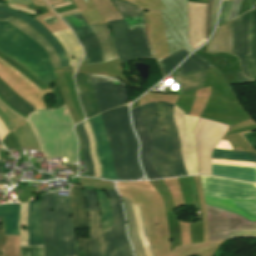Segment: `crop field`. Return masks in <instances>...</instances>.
<instances>
[{
	"label": "crop field",
	"instance_id": "8a807250",
	"mask_svg": "<svg viewBox=\"0 0 256 256\" xmlns=\"http://www.w3.org/2000/svg\"><path fill=\"white\" fill-rule=\"evenodd\" d=\"M68 200L69 196L57 195V191L42 196L40 220L44 256H77Z\"/></svg>",
	"mask_w": 256,
	"mask_h": 256
},
{
	"label": "crop field",
	"instance_id": "ac0d7876",
	"mask_svg": "<svg viewBox=\"0 0 256 256\" xmlns=\"http://www.w3.org/2000/svg\"><path fill=\"white\" fill-rule=\"evenodd\" d=\"M41 149L48 159L67 157V164L77 162L74 123L66 105L53 111H37L28 118Z\"/></svg>",
	"mask_w": 256,
	"mask_h": 256
},
{
	"label": "crop field",
	"instance_id": "34b2d1b8",
	"mask_svg": "<svg viewBox=\"0 0 256 256\" xmlns=\"http://www.w3.org/2000/svg\"><path fill=\"white\" fill-rule=\"evenodd\" d=\"M118 179H139L137 141L131 129L127 107L101 113Z\"/></svg>",
	"mask_w": 256,
	"mask_h": 256
},
{
	"label": "crop field",
	"instance_id": "412701ff",
	"mask_svg": "<svg viewBox=\"0 0 256 256\" xmlns=\"http://www.w3.org/2000/svg\"><path fill=\"white\" fill-rule=\"evenodd\" d=\"M0 51L18 62L48 87L57 79L46 50L7 21L0 23Z\"/></svg>",
	"mask_w": 256,
	"mask_h": 256
},
{
	"label": "crop field",
	"instance_id": "f4fd0767",
	"mask_svg": "<svg viewBox=\"0 0 256 256\" xmlns=\"http://www.w3.org/2000/svg\"><path fill=\"white\" fill-rule=\"evenodd\" d=\"M208 205L256 221V184L214 176H200Z\"/></svg>",
	"mask_w": 256,
	"mask_h": 256
},
{
	"label": "crop field",
	"instance_id": "dd49c442",
	"mask_svg": "<svg viewBox=\"0 0 256 256\" xmlns=\"http://www.w3.org/2000/svg\"><path fill=\"white\" fill-rule=\"evenodd\" d=\"M209 241L241 236H256V222L206 205Z\"/></svg>",
	"mask_w": 256,
	"mask_h": 256
},
{
	"label": "crop field",
	"instance_id": "e52e79f7",
	"mask_svg": "<svg viewBox=\"0 0 256 256\" xmlns=\"http://www.w3.org/2000/svg\"><path fill=\"white\" fill-rule=\"evenodd\" d=\"M112 1L124 19L128 44L134 58H155L148 42L144 17L138 7L122 0Z\"/></svg>",
	"mask_w": 256,
	"mask_h": 256
},
{
	"label": "crop field",
	"instance_id": "d8731c3e",
	"mask_svg": "<svg viewBox=\"0 0 256 256\" xmlns=\"http://www.w3.org/2000/svg\"><path fill=\"white\" fill-rule=\"evenodd\" d=\"M228 125L200 118L195 128L197 159L199 173L211 174L210 154L219 139L224 135Z\"/></svg>",
	"mask_w": 256,
	"mask_h": 256
},
{
	"label": "crop field",
	"instance_id": "5a996713",
	"mask_svg": "<svg viewBox=\"0 0 256 256\" xmlns=\"http://www.w3.org/2000/svg\"><path fill=\"white\" fill-rule=\"evenodd\" d=\"M156 103L152 102L141 106L142 117L154 139L153 161L163 178L175 177L174 172L167 164V137L156 117Z\"/></svg>",
	"mask_w": 256,
	"mask_h": 256
},
{
	"label": "crop field",
	"instance_id": "3316defc",
	"mask_svg": "<svg viewBox=\"0 0 256 256\" xmlns=\"http://www.w3.org/2000/svg\"><path fill=\"white\" fill-rule=\"evenodd\" d=\"M99 104L100 112L118 107L127 102L125 84L113 77L89 74Z\"/></svg>",
	"mask_w": 256,
	"mask_h": 256
},
{
	"label": "crop field",
	"instance_id": "28ad6ade",
	"mask_svg": "<svg viewBox=\"0 0 256 256\" xmlns=\"http://www.w3.org/2000/svg\"><path fill=\"white\" fill-rule=\"evenodd\" d=\"M172 107V104L158 102L157 115L168 137V163L177 176H185L187 174L181 160L179 137L172 118Z\"/></svg>",
	"mask_w": 256,
	"mask_h": 256
},
{
	"label": "crop field",
	"instance_id": "d1516ede",
	"mask_svg": "<svg viewBox=\"0 0 256 256\" xmlns=\"http://www.w3.org/2000/svg\"><path fill=\"white\" fill-rule=\"evenodd\" d=\"M62 20L73 30L81 43L86 55L87 65L103 62L97 38L81 13L62 18Z\"/></svg>",
	"mask_w": 256,
	"mask_h": 256
},
{
	"label": "crop field",
	"instance_id": "22f410ed",
	"mask_svg": "<svg viewBox=\"0 0 256 256\" xmlns=\"http://www.w3.org/2000/svg\"><path fill=\"white\" fill-rule=\"evenodd\" d=\"M88 122L92 128L96 140V153L100 161L102 177L107 179H117L100 114L88 119Z\"/></svg>",
	"mask_w": 256,
	"mask_h": 256
},
{
	"label": "crop field",
	"instance_id": "cbeb9de0",
	"mask_svg": "<svg viewBox=\"0 0 256 256\" xmlns=\"http://www.w3.org/2000/svg\"><path fill=\"white\" fill-rule=\"evenodd\" d=\"M132 116H133V122H134L136 133L142 145L141 161L144 166L145 173L148 179L161 178L153 166V162H152L153 143H152L151 135L141 118L139 106L132 109Z\"/></svg>",
	"mask_w": 256,
	"mask_h": 256
},
{
	"label": "crop field",
	"instance_id": "5142ce71",
	"mask_svg": "<svg viewBox=\"0 0 256 256\" xmlns=\"http://www.w3.org/2000/svg\"><path fill=\"white\" fill-rule=\"evenodd\" d=\"M250 13L251 10L233 20V54L239 57L243 74L246 77L248 74L244 56L249 55L248 26Z\"/></svg>",
	"mask_w": 256,
	"mask_h": 256
},
{
	"label": "crop field",
	"instance_id": "d9b57169",
	"mask_svg": "<svg viewBox=\"0 0 256 256\" xmlns=\"http://www.w3.org/2000/svg\"><path fill=\"white\" fill-rule=\"evenodd\" d=\"M110 198V206L113 217V231L119 252V256H132L131 247L126 239L125 224L115 190H107Z\"/></svg>",
	"mask_w": 256,
	"mask_h": 256
},
{
	"label": "crop field",
	"instance_id": "733c2abd",
	"mask_svg": "<svg viewBox=\"0 0 256 256\" xmlns=\"http://www.w3.org/2000/svg\"><path fill=\"white\" fill-rule=\"evenodd\" d=\"M38 205H39V202L29 203V208H28V203L22 204L21 221H20V231L22 236L21 245H27V242H28L27 230H22V225L26 226L27 208H28L27 226H28V235H29L28 245L42 244L41 236H40V222L38 218Z\"/></svg>",
	"mask_w": 256,
	"mask_h": 256
},
{
	"label": "crop field",
	"instance_id": "4a817a6b",
	"mask_svg": "<svg viewBox=\"0 0 256 256\" xmlns=\"http://www.w3.org/2000/svg\"><path fill=\"white\" fill-rule=\"evenodd\" d=\"M0 11L13 14L19 19L27 22L31 27L37 30L46 40H48L52 44L60 58L61 66L64 67L70 65L59 41L56 39L54 35L51 34V32L47 28L41 25L42 23L40 24L33 17L27 14L9 9L7 6H0Z\"/></svg>",
	"mask_w": 256,
	"mask_h": 256
},
{
	"label": "crop field",
	"instance_id": "bc2a9ffb",
	"mask_svg": "<svg viewBox=\"0 0 256 256\" xmlns=\"http://www.w3.org/2000/svg\"><path fill=\"white\" fill-rule=\"evenodd\" d=\"M75 79L80 101L84 108L86 118L99 114L98 105L92 89L89 75L75 72Z\"/></svg>",
	"mask_w": 256,
	"mask_h": 256
},
{
	"label": "crop field",
	"instance_id": "214f88e0",
	"mask_svg": "<svg viewBox=\"0 0 256 256\" xmlns=\"http://www.w3.org/2000/svg\"><path fill=\"white\" fill-rule=\"evenodd\" d=\"M70 206L74 216L72 219L73 229L76 230L88 227V216L82 187L72 186Z\"/></svg>",
	"mask_w": 256,
	"mask_h": 256
},
{
	"label": "crop field",
	"instance_id": "92a150f3",
	"mask_svg": "<svg viewBox=\"0 0 256 256\" xmlns=\"http://www.w3.org/2000/svg\"><path fill=\"white\" fill-rule=\"evenodd\" d=\"M53 34L58 38L63 46L71 64V69L75 70L83 57L82 49L75 36L69 29Z\"/></svg>",
	"mask_w": 256,
	"mask_h": 256
},
{
	"label": "crop field",
	"instance_id": "dafd665d",
	"mask_svg": "<svg viewBox=\"0 0 256 256\" xmlns=\"http://www.w3.org/2000/svg\"><path fill=\"white\" fill-rule=\"evenodd\" d=\"M212 175L256 182V168L212 164Z\"/></svg>",
	"mask_w": 256,
	"mask_h": 256
},
{
	"label": "crop field",
	"instance_id": "00972430",
	"mask_svg": "<svg viewBox=\"0 0 256 256\" xmlns=\"http://www.w3.org/2000/svg\"><path fill=\"white\" fill-rule=\"evenodd\" d=\"M0 14L6 15V16H11L9 14L2 13V12H0ZM3 20H5V18L0 17V22H2ZM7 20L10 21L11 23H13L18 28H20L26 34L31 36L37 42H39L48 51L53 68L61 67L59 58H58L54 48L38 32H36L33 28H31L27 23L17 19L15 16H12V17L8 18Z\"/></svg>",
	"mask_w": 256,
	"mask_h": 256
},
{
	"label": "crop field",
	"instance_id": "a9b5d70f",
	"mask_svg": "<svg viewBox=\"0 0 256 256\" xmlns=\"http://www.w3.org/2000/svg\"><path fill=\"white\" fill-rule=\"evenodd\" d=\"M0 96L12 107H14L16 110H18L25 116H28L30 113L36 111L32 105L26 103L23 99H21L1 79H0ZM1 97H0V100L4 102L10 109L18 113L19 115L23 116L21 113H19L10 105H8ZM25 116L23 117L27 118Z\"/></svg>",
	"mask_w": 256,
	"mask_h": 256
},
{
	"label": "crop field",
	"instance_id": "4177f3b9",
	"mask_svg": "<svg viewBox=\"0 0 256 256\" xmlns=\"http://www.w3.org/2000/svg\"><path fill=\"white\" fill-rule=\"evenodd\" d=\"M107 23L113 30V39L121 62L133 60L134 58L127 45L123 20L110 21Z\"/></svg>",
	"mask_w": 256,
	"mask_h": 256
},
{
	"label": "crop field",
	"instance_id": "730fd06b",
	"mask_svg": "<svg viewBox=\"0 0 256 256\" xmlns=\"http://www.w3.org/2000/svg\"><path fill=\"white\" fill-rule=\"evenodd\" d=\"M90 27L98 38L103 53L104 62L117 59L118 57L116 55L115 48L110 37L108 25L106 23L92 24L90 25Z\"/></svg>",
	"mask_w": 256,
	"mask_h": 256
},
{
	"label": "crop field",
	"instance_id": "eef30255",
	"mask_svg": "<svg viewBox=\"0 0 256 256\" xmlns=\"http://www.w3.org/2000/svg\"><path fill=\"white\" fill-rule=\"evenodd\" d=\"M250 56L245 57L248 74L252 82L256 81V9L252 11L249 28Z\"/></svg>",
	"mask_w": 256,
	"mask_h": 256
},
{
	"label": "crop field",
	"instance_id": "ae1a2a85",
	"mask_svg": "<svg viewBox=\"0 0 256 256\" xmlns=\"http://www.w3.org/2000/svg\"><path fill=\"white\" fill-rule=\"evenodd\" d=\"M122 199H123V203H124V207H125V211H126V215H127L129 236H130V239L134 246L136 256H146V254L143 250L141 241H140V237H139L137 228H136L133 211H132V207L130 204V199H128L126 197H122Z\"/></svg>",
	"mask_w": 256,
	"mask_h": 256
},
{
	"label": "crop field",
	"instance_id": "d3111659",
	"mask_svg": "<svg viewBox=\"0 0 256 256\" xmlns=\"http://www.w3.org/2000/svg\"><path fill=\"white\" fill-rule=\"evenodd\" d=\"M183 116H184V112L174 105L173 117H174V122L177 128V131L180 136L182 159L184 161L187 173L188 175H190L192 174V172H191L189 159H188L187 140L185 137L184 127H183Z\"/></svg>",
	"mask_w": 256,
	"mask_h": 256
},
{
	"label": "crop field",
	"instance_id": "750c4746",
	"mask_svg": "<svg viewBox=\"0 0 256 256\" xmlns=\"http://www.w3.org/2000/svg\"><path fill=\"white\" fill-rule=\"evenodd\" d=\"M198 118L191 116H184V127L187 133L188 139V152L189 159L193 174H198L196 153H195V140L193 135V128Z\"/></svg>",
	"mask_w": 256,
	"mask_h": 256
},
{
	"label": "crop field",
	"instance_id": "bd1437ed",
	"mask_svg": "<svg viewBox=\"0 0 256 256\" xmlns=\"http://www.w3.org/2000/svg\"><path fill=\"white\" fill-rule=\"evenodd\" d=\"M11 132L14 134L17 142L19 143V147L40 150L28 122Z\"/></svg>",
	"mask_w": 256,
	"mask_h": 256
},
{
	"label": "crop field",
	"instance_id": "1d83c4d3",
	"mask_svg": "<svg viewBox=\"0 0 256 256\" xmlns=\"http://www.w3.org/2000/svg\"><path fill=\"white\" fill-rule=\"evenodd\" d=\"M180 66L181 76L205 69H210L212 67L204 58L194 53Z\"/></svg>",
	"mask_w": 256,
	"mask_h": 256
},
{
	"label": "crop field",
	"instance_id": "120bbe31",
	"mask_svg": "<svg viewBox=\"0 0 256 256\" xmlns=\"http://www.w3.org/2000/svg\"><path fill=\"white\" fill-rule=\"evenodd\" d=\"M212 158L256 162V153L214 149Z\"/></svg>",
	"mask_w": 256,
	"mask_h": 256
},
{
	"label": "crop field",
	"instance_id": "d32e631a",
	"mask_svg": "<svg viewBox=\"0 0 256 256\" xmlns=\"http://www.w3.org/2000/svg\"><path fill=\"white\" fill-rule=\"evenodd\" d=\"M0 119L4 122V124L10 131L18 127L19 125L23 124L24 122H26V120L17 116L7 107H5L1 102H0Z\"/></svg>",
	"mask_w": 256,
	"mask_h": 256
},
{
	"label": "crop field",
	"instance_id": "5866460e",
	"mask_svg": "<svg viewBox=\"0 0 256 256\" xmlns=\"http://www.w3.org/2000/svg\"><path fill=\"white\" fill-rule=\"evenodd\" d=\"M90 232H96L99 244V256H105V245L100 228L99 211L89 212Z\"/></svg>",
	"mask_w": 256,
	"mask_h": 256
},
{
	"label": "crop field",
	"instance_id": "028f5c9d",
	"mask_svg": "<svg viewBox=\"0 0 256 256\" xmlns=\"http://www.w3.org/2000/svg\"><path fill=\"white\" fill-rule=\"evenodd\" d=\"M206 71L181 77L182 91L198 89L203 86Z\"/></svg>",
	"mask_w": 256,
	"mask_h": 256
},
{
	"label": "crop field",
	"instance_id": "e1f06a70",
	"mask_svg": "<svg viewBox=\"0 0 256 256\" xmlns=\"http://www.w3.org/2000/svg\"><path fill=\"white\" fill-rule=\"evenodd\" d=\"M133 206V210H134V214L136 217V222H137V226H138V231L140 233L141 239H142V243H143V247L147 253V256H154L149 241H148V237H147V233L145 230V226L143 223V219L140 213V209L138 205L132 204Z\"/></svg>",
	"mask_w": 256,
	"mask_h": 256
},
{
	"label": "crop field",
	"instance_id": "0bd39190",
	"mask_svg": "<svg viewBox=\"0 0 256 256\" xmlns=\"http://www.w3.org/2000/svg\"><path fill=\"white\" fill-rule=\"evenodd\" d=\"M187 51L184 49L170 55L169 57L159 61L164 76L170 72L186 55Z\"/></svg>",
	"mask_w": 256,
	"mask_h": 256
},
{
	"label": "crop field",
	"instance_id": "b80d0937",
	"mask_svg": "<svg viewBox=\"0 0 256 256\" xmlns=\"http://www.w3.org/2000/svg\"><path fill=\"white\" fill-rule=\"evenodd\" d=\"M99 197L102 212V230L112 225L109 200L105 192L96 191Z\"/></svg>",
	"mask_w": 256,
	"mask_h": 256
},
{
	"label": "crop field",
	"instance_id": "c035e120",
	"mask_svg": "<svg viewBox=\"0 0 256 256\" xmlns=\"http://www.w3.org/2000/svg\"><path fill=\"white\" fill-rule=\"evenodd\" d=\"M76 126L78 127V129L81 133V136H82V140H83V151H84V155H85L86 168L89 172V175L95 176L94 167H93V164H92L91 158H90V149H89L88 137L86 135V132L84 130V127H83L82 123H79Z\"/></svg>",
	"mask_w": 256,
	"mask_h": 256
},
{
	"label": "crop field",
	"instance_id": "c21b1889",
	"mask_svg": "<svg viewBox=\"0 0 256 256\" xmlns=\"http://www.w3.org/2000/svg\"><path fill=\"white\" fill-rule=\"evenodd\" d=\"M103 236L106 245V256H118L117 248L114 241L112 226L103 230Z\"/></svg>",
	"mask_w": 256,
	"mask_h": 256
},
{
	"label": "crop field",
	"instance_id": "03da06ac",
	"mask_svg": "<svg viewBox=\"0 0 256 256\" xmlns=\"http://www.w3.org/2000/svg\"><path fill=\"white\" fill-rule=\"evenodd\" d=\"M82 123L87 131V134H88V137L90 140L91 158H92L93 164L95 166L96 176L101 177V170H100L99 162H98V159H97L96 153H95V147H96L95 140L93 138V135H92V132H91V129H90V126H89L87 120L83 121Z\"/></svg>",
	"mask_w": 256,
	"mask_h": 256
},
{
	"label": "crop field",
	"instance_id": "b54c1fbb",
	"mask_svg": "<svg viewBox=\"0 0 256 256\" xmlns=\"http://www.w3.org/2000/svg\"><path fill=\"white\" fill-rule=\"evenodd\" d=\"M0 217H19V204L0 205Z\"/></svg>",
	"mask_w": 256,
	"mask_h": 256
},
{
	"label": "crop field",
	"instance_id": "5d738f31",
	"mask_svg": "<svg viewBox=\"0 0 256 256\" xmlns=\"http://www.w3.org/2000/svg\"><path fill=\"white\" fill-rule=\"evenodd\" d=\"M19 218H4L5 234H20L18 231Z\"/></svg>",
	"mask_w": 256,
	"mask_h": 256
},
{
	"label": "crop field",
	"instance_id": "d23c7cc5",
	"mask_svg": "<svg viewBox=\"0 0 256 256\" xmlns=\"http://www.w3.org/2000/svg\"><path fill=\"white\" fill-rule=\"evenodd\" d=\"M21 256H43L42 246H36V247L21 246Z\"/></svg>",
	"mask_w": 256,
	"mask_h": 256
},
{
	"label": "crop field",
	"instance_id": "425ffa30",
	"mask_svg": "<svg viewBox=\"0 0 256 256\" xmlns=\"http://www.w3.org/2000/svg\"><path fill=\"white\" fill-rule=\"evenodd\" d=\"M232 2L233 1H223L221 14H220L219 25L228 21L230 9H231V6H232Z\"/></svg>",
	"mask_w": 256,
	"mask_h": 256
},
{
	"label": "crop field",
	"instance_id": "25e5ab78",
	"mask_svg": "<svg viewBox=\"0 0 256 256\" xmlns=\"http://www.w3.org/2000/svg\"><path fill=\"white\" fill-rule=\"evenodd\" d=\"M89 211L99 210L94 191L85 189Z\"/></svg>",
	"mask_w": 256,
	"mask_h": 256
},
{
	"label": "crop field",
	"instance_id": "73cf0c24",
	"mask_svg": "<svg viewBox=\"0 0 256 256\" xmlns=\"http://www.w3.org/2000/svg\"><path fill=\"white\" fill-rule=\"evenodd\" d=\"M78 251L86 250V256H91V240L90 239H78L77 240Z\"/></svg>",
	"mask_w": 256,
	"mask_h": 256
},
{
	"label": "crop field",
	"instance_id": "89e229c0",
	"mask_svg": "<svg viewBox=\"0 0 256 256\" xmlns=\"http://www.w3.org/2000/svg\"><path fill=\"white\" fill-rule=\"evenodd\" d=\"M212 163L256 167V163H250V162H239V161H228V160L212 159Z\"/></svg>",
	"mask_w": 256,
	"mask_h": 256
},
{
	"label": "crop field",
	"instance_id": "1f2cbd36",
	"mask_svg": "<svg viewBox=\"0 0 256 256\" xmlns=\"http://www.w3.org/2000/svg\"><path fill=\"white\" fill-rule=\"evenodd\" d=\"M252 2L253 0H242L238 11V16L243 12L250 10L252 7Z\"/></svg>",
	"mask_w": 256,
	"mask_h": 256
},
{
	"label": "crop field",
	"instance_id": "dbb93151",
	"mask_svg": "<svg viewBox=\"0 0 256 256\" xmlns=\"http://www.w3.org/2000/svg\"><path fill=\"white\" fill-rule=\"evenodd\" d=\"M213 1L214 0H209V4H208L207 23H206V39L210 35V17H211V9H212V5H213Z\"/></svg>",
	"mask_w": 256,
	"mask_h": 256
},
{
	"label": "crop field",
	"instance_id": "0fb4a251",
	"mask_svg": "<svg viewBox=\"0 0 256 256\" xmlns=\"http://www.w3.org/2000/svg\"><path fill=\"white\" fill-rule=\"evenodd\" d=\"M218 4H219V0H215L214 1V5H213V9H212L211 32H212V30L214 28Z\"/></svg>",
	"mask_w": 256,
	"mask_h": 256
},
{
	"label": "crop field",
	"instance_id": "1d79db26",
	"mask_svg": "<svg viewBox=\"0 0 256 256\" xmlns=\"http://www.w3.org/2000/svg\"><path fill=\"white\" fill-rule=\"evenodd\" d=\"M240 1H241V0H234L233 6H232V9H231V13H230L229 21L232 20V19H234V18H236Z\"/></svg>",
	"mask_w": 256,
	"mask_h": 256
},
{
	"label": "crop field",
	"instance_id": "9d1cf04e",
	"mask_svg": "<svg viewBox=\"0 0 256 256\" xmlns=\"http://www.w3.org/2000/svg\"><path fill=\"white\" fill-rule=\"evenodd\" d=\"M89 236L90 238H92V242H93V256H98V244H97L96 235L94 233V234H90Z\"/></svg>",
	"mask_w": 256,
	"mask_h": 256
},
{
	"label": "crop field",
	"instance_id": "447ae74e",
	"mask_svg": "<svg viewBox=\"0 0 256 256\" xmlns=\"http://www.w3.org/2000/svg\"><path fill=\"white\" fill-rule=\"evenodd\" d=\"M215 148H219V149H231L232 147L231 145L228 143V141H224V140H220Z\"/></svg>",
	"mask_w": 256,
	"mask_h": 256
},
{
	"label": "crop field",
	"instance_id": "0765c3eb",
	"mask_svg": "<svg viewBox=\"0 0 256 256\" xmlns=\"http://www.w3.org/2000/svg\"><path fill=\"white\" fill-rule=\"evenodd\" d=\"M10 131H8L6 129V127L4 126V124L2 123V121L0 120V139L2 141V139L9 133Z\"/></svg>",
	"mask_w": 256,
	"mask_h": 256
},
{
	"label": "crop field",
	"instance_id": "db79e9e6",
	"mask_svg": "<svg viewBox=\"0 0 256 256\" xmlns=\"http://www.w3.org/2000/svg\"><path fill=\"white\" fill-rule=\"evenodd\" d=\"M237 76V79L239 81V84H243V83H249L251 82L250 80H248L243 74L242 72L240 73H235Z\"/></svg>",
	"mask_w": 256,
	"mask_h": 256
},
{
	"label": "crop field",
	"instance_id": "7b73153f",
	"mask_svg": "<svg viewBox=\"0 0 256 256\" xmlns=\"http://www.w3.org/2000/svg\"><path fill=\"white\" fill-rule=\"evenodd\" d=\"M44 21H45V23H46L47 25L52 24V23H55V22H58V20L55 18V16L46 18V19H44Z\"/></svg>",
	"mask_w": 256,
	"mask_h": 256
},
{
	"label": "crop field",
	"instance_id": "78b8030e",
	"mask_svg": "<svg viewBox=\"0 0 256 256\" xmlns=\"http://www.w3.org/2000/svg\"><path fill=\"white\" fill-rule=\"evenodd\" d=\"M65 1H68V0H63V2H65Z\"/></svg>",
	"mask_w": 256,
	"mask_h": 256
},
{
	"label": "crop field",
	"instance_id": "0f1d7ab4",
	"mask_svg": "<svg viewBox=\"0 0 256 256\" xmlns=\"http://www.w3.org/2000/svg\"><path fill=\"white\" fill-rule=\"evenodd\" d=\"M1 16V15H0ZM2 17H5V16H2ZM6 18H8V17H6Z\"/></svg>",
	"mask_w": 256,
	"mask_h": 256
},
{
	"label": "crop field",
	"instance_id": "e1d0b9f6",
	"mask_svg": "<svg viewBox=\"0 0 256 256\" xmlns=\"http://www.w3.org/2000/svg\"><path fill=\"white\" fill-rule=\"evenodd\" d=\"M0 173H1V169H0Z\"/></svg>",
	"mask_w": 256,
	"mask_h": 256
},
{
	"label": "crop field",
	"instance_id": "ae633e8c",
	"mask_svg": "<svg viewBox=\"0 0 256 256\" xmlns=\"http://www.w3.org/2000/svg\"><path fill=\"white\" fill-rule=\"evenodd\" d=\"M1 144V143H0Z\"/></svg>",
	"mask_w": 256,
	"mask_h": 256
}]
</instances>
